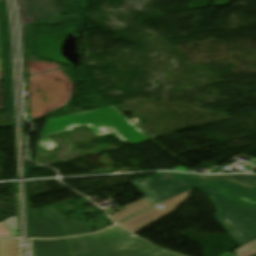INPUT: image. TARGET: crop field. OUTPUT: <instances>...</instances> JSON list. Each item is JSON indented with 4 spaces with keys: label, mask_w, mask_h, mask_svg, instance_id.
<instances>
[{
    "label": "crop field",
    "mask_w": 256,
    "mask_h": 256,
    "mask_svg": "<svg viewBox=\"0 0 256 256\" xmlns=\"http://www.w3.org/2000/svg\"><path fill=\"white\" fill-rule=\"evenodd\" d=\"M3 225L8 229V231L12 234L13 237H17L16 235V217L5 219L1 221Z\"/></svg>",
    "instance_id": "12"
},
{
    "label": "crop field",
    "mask_w": 256,
    "mask_h": 256,
    "mask_svg": "<svg viewBox=\"0 0 256 256\" xmlns=\"http://www.w3.org/2000/svg\"><path fill=\"white\" fill-rule=\"evenodd\" d=\"M30 20L54 18L59 12L57 0H25Z\"/></svg>",
    "instance_id": "6"
},
{
    "label": "crop field",
    "mask_w": 256,
    "mask_h": 256,
    "mask_svg": "<svg viewBox=\"0 0 256 256\" xmlns=\"http://www.w3.org/2000/svg\"><path fill=\"white\" fill-rule=\"evenodd\" d=\"M249 164H253V165H255V164H256V159H255V160H253L252 162H250Z\"/></svg>",
    "instance_id": "19"
},
{
    "label": "crop field",
    "mask_w": 256,
    "mask_h": 256,
    "mask_svg": "<svg viewBox=\"0 0 256 256\" xmlns=\"http://www.w3.org/2000/svg\"><path fill=\"white\" fill-rule=\"evenodd\" d=\"M172 170H176V171H185V172H191L189 171L188 169H186L185 167L181 166V167H177V168H174Z\"/></svg>",
    "instance_id": "16"
},
{
    "label": "crop field",
    "mask_w": 256,
    "mask_h": 256,
    "mask_svg": "<svg viewBox=\"0 0 256 256\" xmlns=\"http://www.w3.org/2000/svg\"><path fill=\"white\" fill-rule=\"evenodd\" d=\"M0 256H19L18 240L0 239Z\"/></svg>",
    "instance_id": "10"
},
{
    "label": "crop field",
    "mask_w": 256,
    "mask_h": 256,
    "mask_svg": "<svg viewBox=\"0 0 256 256\" xmlns=\"http://www.w3.org/2000/svg\"><path fill=\"white\" fill-rule=\"evenodd\" d=\"M191 191H193V189L183 192L167 201L164 200L165 202H162L164 206L162 210L154 207L128 221L119 224V226L135 234L146 227L148 224L173 211L177 206L188 199V194Z\"/></svg>",
    "instance_id": "4"
},
{
    "label": "crop field",
    "mask_w": 256,
    "mask_h": 256,
    "mask_svg": "<svg viewBox=\"0 0 256 256\" xmlns=\"http://www.w3.org/2000/svg\"><path fill=\"white\" fill-rule=\"evenodd\" d=\"M13 125V115L10 113L0 115V127Z\"/></svg>",
    "instance_id": "13"
},
{
    "label": "crop field",
    "mask_w": 256,
    "mask_h": 256,
    "mask_svg": "<svg viewBox=\"0 0 256 256\" xmlns=\"http://www.w3.org/2000/svg\"><path fill=\"white\" fill-rule=\"evenodd\" d=\"M84 124L98 136L115 132L122 141H128L131 145L148 141L124 115L111 106L48 120L37 146L52 150L57 145L46 135Z\"/></svg>",
    "instance_id": "2"
},
{
    "label": "crop field",
    "mask_w": 256,
    "mask_h": 256,
    "mask_svg": "<svg viewBox=\"0 0 256 256\" xmlns=\"http://www.w3.org/2000/svg\"><path fill=\"white\" fill-rule=\"evenodd\" d=\"M221 256H235V255H233V254L227 252V253H225V254H223V255H221ZM254 256H256V255H254Z\"/></svg>",
    "instance_id": "18"
},
{
    "label": "crop field",
    "mask_w": 256,
    "mask_h": 256,
    "mask_svg": "<svg viewBox=\"0 0 256 256\" xmlns=\"http://www.w3.org/2000/svg\"><path fill=\"white\" fill-rule=\"evenodd\" d=\"M38 210L32 211V227L34 237L52 238L61 237L56 227L49 221L43 219L37 214Z\"/></svg>",
    "instance_id": "8"
},
{
    "label": "crop field",
    "mask_w": 256,
    "mask_h": 256,
    "mask_svg": "<svg viewBox=\"0 0 256 256\" xmlns=\"http://www.w3.org/2000/svg\"><path fill=\"white\" fill-rule=\"evenodd\" d=\"M0 236L12 237L11 234L6 230V228L0 222Z\"/></svg>",
    "instance_id": "14"
},
{
    "label": "crop field",
    "mask_w": 256,
    "mask_h": 256,
    "mask_svg": "<svg viewBox=\"0 0 256 256\" xmlns=\"http://www.w3.org/2000/svg\"><path fill=\"white\" fill-rule=\"evenodd\" d=\"M237 256H251L256 254V240H253L234 250Z\"/></svg>",
    "instance_id": "11"
},
{
    "label": "crop field",
    "mask_w": 256,
    "mask_h": 256,
    "mask_svg": "<svg viewBox=\"0 0 256 256\" xmlns=\"http://www.w3.org/2000/svg\"><path fill=\"white\" fill-rule=\"evenodd\" d=\"M0 2H1V0H0ZM0 71H2L1 40H0Z\"/></svg>",
    "instance_id": "17"
},
{
    "label": "crop field",
    "mask_w": 256,
    "mask_h": 256,
    "mask_svg": "<svg viewBox=\"0 0 256 256\" xmlns=\"http://www.w3.org/2000/svg\"><path fill=\"white\" fill-rule=\"evenodd\" d=\"M73 256H177L115 226L97 235L66 239Z\"/></svg>",
    "instance_id": "3"
},
{
    "label": "crop field",
    "mask_w": 256,
    "mask_h": 256,
    "mask_svg": "<svg viewBox=\"0 0 256 256\" xmlns=\"http://www.w3.org/2000/svg\"><path fill=\"white\" fill-rule=\"evenodd\" d=\"M131 183L153 204L198 187L210 196L216 220L239 246L256 238V176L165 173Z\"/></svg>",
    "instance_id": "1"
},
{
    "label": "crop field",
    "mask_w": 256,
    "mask_h": 256,
    "mask_svg": "<svg viewBox=\"0 0 256 256\" xmlns=\"http://www.w3.org/2000/svg\"><path fill=\"white\" fill-rule=\"evenodd\" d=\"M152 206V204L146 200L145 198L139 200V201H136L132 204H129L127 206H125L124 208H126L125 210L111 216V218L117 222L119 220H122L124 218H127L131 215H134L148 207Z\"/></svg>",
    "instance_id": "9"
},
{
    "label": "crop field",
    "mask_w": 256,
    "mask_h": 256,
    "mask_svg": "<svg viewBox=\"0 0 256 256\" xmlns=\"http://www.w3.org/2000/svg\"><path fill=\"white\" fill-rule=\"evenodd\" d=\"M42 214L52 221H54L58 227L61 228L64 236L89 233L92 232L85 225L80 223L76 219H67L61 212L55 209L53 206L45 207Z\"/></svg>",
    "instance_id": "5"
},
{
    "label": "crop field",
    "mask_w": 256,
    "mask_h": 256,
    "mask_svg": "<svg viewBox=\"0 0 256 256\" xmlns=\"http://www.w3.org/2000/svg\"><path fill=\"white\" fill-rule=\"evenodd\" d=\"M229 163H231V162H229ZM229 163H227V164H229ZM227 164H225V165H227ZM225 165H223V166H225ZM223 166H221V167H216V168H214L213 170L209 171L208 173H217V172L223 170V169H222Z\"/></svg>",
    "instance_id": "15"
},
{
    "label": "crop field",
    "mask_w": 256,
    "mask_h": 256,
    "mask_svg": "<svg viewBox=\"0 0 256 256\" xmlns=\"http://www.w3.org/2000/svg\"><path fill=\"white\" fill-rule=\"evenodd\" d=\"M34 256H69L64 241H34Z\"/></svg>",
    "instance_id": "7"
}]
</instances>
